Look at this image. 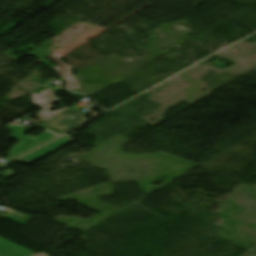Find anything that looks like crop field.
Masks as SVG:
<instances>
[{"label": "crop field", "mask_w": 256, "mask_h": 256, "mask_svg": "<svg viewBox=\"0 0 256 256\" xmlns=\"http://www.w3.org/2000/svg\"><path fill=\"white\" fill-rule=\"evenodd\" d=\"M31 95L33 96V100H34L35 104H37L39 106L42 105L43 103L47 102L48 98L55 97L51 88L40 93L38 96L34 93Z\"/></svg>", "instance_id": "crop-field-6"}, {"label": "crop field", "mask_w": 256, "mask_h": 256, "mask_svg": "<svg viewBox=\"0 0 256 256\" xmlns=\"http://www.w3.org/2000/svg\"><path fill=\"white\" fill-rule=\"evenodd\" d=\"M71 142H73V139L69 135H66V136L22 157L21 159H19V161L31 164V163L39 160L40 158L48 155L49 153L65 146Z\"/></svg>", "instance_id": "crop-field-3"}, {"label": "crop field", "mask_w": 256, "mask_h": 256, "mask_svg": "<svg viewBox=\"0 0 256 256\" xmlns=\"http://www.w3.org/2000/svg\"><path fill=\"white\" fill-rule=\"evenodd\" d=\"M43 124H44V123H43ZM40 127H43V128H45V129H48V130H50V131H52V132H54V133H56V134H58V135H60L61 133H63V132H61V131H59V130H57V129H55V128H53V127L47 125V124H44V125H42V126H40Z\"/></svg>", "instance_id": "crop-field-7"}, {"label": "crop field", "mask_w": 256, "mask_h": 256, "mask_svg": "<svg viewBox=\"0 0 256 256\" xmlns=\"http://www.w3.org/2000/svg\"><path fill=\"white\" fill-rule=\"evenodd\" d=\"M16 173H13V172H11V171H9V170H6V171H4V172H1L0 173V176L1 177H8V178H10V177H12L13 175H15Z\"/></svg>", "instance_id": "crop-field-8"}, {"label": "crop field", "mask_w": 256, "mask_h": 256, "mask_svg": "<svg viewBox=\"0 0 256 256\" xmlns=\"http://www.w3.org/2000/svg\"><path fill=\"white\" fill-rule=\"evenodd\" d=\"M34 256H47V255H46L45 253L41 252V253L36 254V255H34Z\"/></svg>", "instance_id": "crop-field-9"}, {"label": "crop field", "mask_w": 256, "mask_h": 256, "mask_svg": "<svg viewBox=\"0 0 256 256\" xmlns=\"http://www.w3.org/2000/svg\"><path fill=\"white\" fill-rule=\"evenodd\" d=\"M34 254L36 253L0 238V255L2 256H31Z\"/></svg>", "instance_id": "crop-field-4"}, {"label": "crop field", "mask_w": 256, "mask_h": 256, "mask_svg": "<svg viewBox=\"0 0 256 256\" xmlns=\"http://www.w3.org/2000/svg\"><path fill=\"white\" fill-rule=\"evenodd\" d=\"M83 117L84 115L70 108L45 123L66 132L87 121Z\"/></svg>", "instance_id": "crop-field-2"}, {"label": "crop field", "mask_w": 256, "mask_h": 256, "mask_svg": "<svg viewBox=\"0 0 256 256\" xmlns=\"http://www.w3.org/2000/svg\"><path fill=\"white\" fill-rule=\"evenodd\" d=\"M52 60L56 61L57 63H59L60 65L54 67V68H57L58 70H60L61 72H58L57 70H54L62 77H64L65 79L68 78V77H73L70 73V69L71 67L63 64L62 62H60L57 58H55L54 56H51L50 57ZM67 86L69 89L73 90V89H77L79 88L75 79L74 78H71L69 80H67Z\"/></svg>", "instance_id": "crop-field-5"}, {"label": "crop field", "mask_w": 256, "mask_h": 256, "mask_svg": "<svg viewBox=\"0 0 256 256\" xmlns=\"http://www.w3.org/2000/svg\"><path fill=\"white\" fill-rule=\"evenodd\" d=\"M56 137L55 135L45 131L41 133L40 135L34 137V136H28V135H22L17 140L19 143L15 146H13L6 154L9 156L7 158L13 160L15 157L43 144L44 142Z\"/></svg>", "instance_id": "crop-field-1"}]
</instances>
